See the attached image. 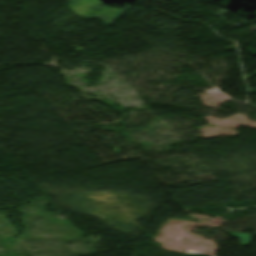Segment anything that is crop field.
<instances>
[{"mask_svg":"<svg viewBox=\"0 0 256 256\" xmlns=\"http://www.w3.org/2000/svg\"><path fill=\"white\" fill-rule=\"evenodd\" d=\"M229 234L240 237L242 240L243 246H249V244L251 243L249 234H239V233H229Z\"/></svg>","mask_w":256,"mask_h":256,"instance_id":"crop-field-1","label":"crop field"}]
</instances>
